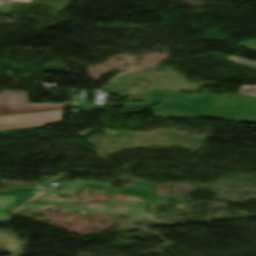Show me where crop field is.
<instances>
[{"label": "crop field", "mask_w": 256, "mask_h": 256, "mask_svg": "<svg viewBox=\"0 0 256 256\" xmlns=\"http://www.w3.org/2000/svg\"><path fill=\"white\" fill-rule=\"evenodd\" d=\"M7 216V213L0 211V221H2Z\"/></svg>", "instance_id": "12"}, {"label": "crop field", "mask_w": 256, "mask_h": 256, "mask_svg": "<svg viewBox=\"0 0 256 256\" xmlns=\"http://www.w3.org/2000/svg\"><path fill=\"white\" fill-rule=\"evenodd\" d=\"M250 88H256V86H242L238 93L256 96V90H250Z\"/></svg>", "instance_id": "6"}, {"label": "crop field", "mask_w": 256, "mask_h": 256, "mask_svg": "<svg viewBox=\"0 0 256 256\" xmlns=\"http://www.w3.org/2000/svg\"><path fill=\"white\" fill-rule=\"evenodd\" d=\"M86 107L105 108L106 106L101 105V104H89V103H86Z\"/></svg>", "instance_id": "10"}, {"label": "crop field", "mask_w": 256, "mask_h": 256, "mask_svg": "<svg viewBox=\"0 0 256 256\" xmlns=\"http://www.w3.org/2000/svg\"><path fill=\"white\" fill-rule=\"evenodd\" d=\"M137 107H140V105L130 104V105H126L125 109H132V108H137Z\"/></svg>", "instance_id": "11"}, {"label": "crop field", "mask_w": 256, "mask_h": 256, "mask_svg": "<svg viewBox=\"0 0 256 256\" xmlns=\"http://www.w3.org/2000/svg\"><path fill=\"white\" fill-rule=\"evenodd\" d=\"M60 111L30 113L0 117V131L21 130L30 127L43 126L51 123L62 122Z\"/></svg>", "instance_id": "3"}, {"label": "crop field", "mask_w": 256, "mask_h": 256, "mask_svg": "<svg viewBox=\"0 0 256 256\" xmlns=\"http://www.w3.org/2000/svg\"><path fill=\"white\" fill-rule=\"evenodd\" d=\"M228 61L235 62V63H240V64H244V65H248V66L256 68V64L255 63L243 61V60L236 59V58H233V57H229Z\"/></svg>", "instance_id": "8"}, {"label": "crop field", "mask_w": 256, "mask_h": 256, "mask_svg": "<svg viewBox=\"0 0 256 256\" xmlns=\"http://www.w3.org/2000/svg\"><path fill=\"white\" fill-rule=\"evenodd\" d=\"M238 45L244 46V47H246V48L256 52V41H254V40H251V41H248V42H244V43H240Z\"/></svg>", "instance_id": "7"}, {"label": "crop field", "mask_w": 256, "mask_h": 256, "mask_svg": "<svg viewBox=\"0 0 256 256\" xmlns=\"http://www.w3.org/2000/svg\"><path fill=\"white\" fill-rule=\"evenodd\" d=\"M172 90H151L147 94L130 97L129 100H145L147 104H154L164 100H184L195 106L217 107L229 110L256 111V97L236 94L232 100L225 96L204 94L202 97L184 96Z\"/></svg>", "instance_id": "1"}, {"label": "crop field", "mask_w": 256, "mask_h": 256, "mask_svg": "<svg viewBox=\"0 0 256 256\" xmlns=\"http://www.w3.org/2000/svg\"><path fill=\"white\" fill-rule=\"evenodd\" d=\"M157 116L177 118L200 116L256 123V113L196 108L184 102H163Z\"/></svg>", "instance_id": "2"}, {"label": "crop field", "mask_w": 256, "mask_h": 256, "mask_svg": "<svg viewBox=\"0 0 256 256\" xmlns=\"http://www.w3.org/2000/svg\"><path fill=\"white\" fill-rule=\"evenodd\" d=\"M134 184L138 186V188L135 190H133L127 186L123 189L115 190L113 188H110V185H111L110 183H107L105 188L108 190H111V191L144 198L145 203H147V204L162 201V200L189 201V199H181L178 197H173V198L152 197V189H151L152 185L151 184H148L145 182H140V181H135Z\"/></svg>", "instance_id": "5"}, {"label": "crop field", "mask_w": 256, "mask_h": 256, "mask_svg": "<svg viewBox=\"0 0 256 256\" xmlns=\"http://www.w3.org/2000/svg\"><path fill=\"white\" fill-rule=\"evenodd\" d=\"M32 201H30V202H28L26 205H28L29 203H31ZM26 205H24V206H26Z\"/></svg>", "instance_id": "13"}, {"label": "crop field", "mask_w": 256, "mask_h": 256, "mask_svg": "<svg viewBox=\"0 0 256 256\" xmlns=\"http://www.w3.org/2000/svg\"><path fill=\"white\" fill-rule=\"evenodd\" d=\"M32 0H0V5L5 2H31Z\"/></svg>", "instance_id": "9"}, {"label": "crop field", "mask_w": 256, "mask_h": 256, "mask_svg": "<svg viewBox=\"0 0 256 256\" xmlns=\"http://www.w3.org/2000/svg\"><path fill=\"white\" fill-rule=\"evenodd\" d=\"M28 93L3 92L0 94V115L29 111L62 109L61 104H27Z\"/></svg>", "instance_id": "4"}]
</instances>
